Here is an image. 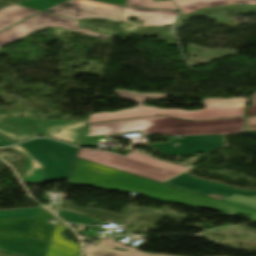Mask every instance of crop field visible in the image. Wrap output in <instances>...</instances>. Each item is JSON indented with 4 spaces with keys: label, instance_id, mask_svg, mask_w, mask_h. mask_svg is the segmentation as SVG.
I'll return each mask as SVG.
<instances>
[{
    "label": "crop field",
    "instance_id": "crop-field-5",
    "mask_svg": "<svg viewBox=\"0 0 256 256\" xmlns=\"http://www.w3.org/2000/svg\"><path fill=\"white\" fill-rule=\"evenodd\" d=\"M87 122L10 118L0 122V133L17 142L37 135H46L79 145ZM29 124L35 125L36 129L25 131V126Z\"/></svg>",
    "mask_w": 256,
    "mask_h": 256
},
{
    "label": "crop field",
    "instance_id": "crop-field-13",
    "mask_svg": "<svg viewBox=\"0 0 256 256\" xmlns=\"http://www.w3.org/2000/svg\"><path fill=\"white\" fill-rule=\"evenodd\" d=\"M183 14L191 13L198 9L217 7L229 4L256 5V0H174Z\"/></svg>",
    "mask_w": 256,
    "mask_h": 256
},
{
    "label": "crop field",
    "instance_id": "crop-field-1",
    "mask_svg": "<svg viewBox=\"0 0 256 256\" xmlns=\"http://www.w3.org/2000/svg\"><path fill=\"white\" fill-rule=\"evenodd\" d=\"M69 183L136 192L164 201H172L199 208L215 209L229 216L249 214L252 215L251 220L256 221V211L224 203L80 159H76L75 161Z\"/></svg>",
    "mask_w": 256,
    "mask_h": 256
},
{
    "label": "crop field",
    "instance_id": "crop-field-4",
    "mask_svg": "<svg viewBox=\"0 0 256 256\" xmlns=\"http://www.w3.org/2000/svg\"><path fill=\"white\" fill-rule=\"evenodd\" d=\"M78 157L160 182H166L190 170V168L156 160L137 152L123 157L112 152L80 149Z\"/></svg>",
    "mask_w": 256,
    "mask_h": 256
},
{
    "label": "crop field",
    "instance_id": "crop-field-19",
    "mask_svg": "<svg viewBox=\"0 0 256 256\" xmlns=\"http://www.w3.org/2000/svg\"><path fill=\"white\" fill-rule=\"evenodd\" d=\"M126 5L146 7V8H165V9L176 10V7L172 1H161V2L153 3V0H127Z\"/></svg>",
    "mask_w": 256,
    "mask_h": 256
},
{
    "label": "crop field",
    "instance_id": "crop-field-11",
    "mask_svg": "<svg viewBox=\"0 0 256 256\" xmlns=\"http://www.w3.org/2000/svg\"><path fill=\"white\" fill-rule=\"evenodd\" d=\"M115 238H102L97 245L84 247V256H167L151 255L132 248L123 247L121 243L113 242ZM112 247L127 248L129 252L112 250Z\"/></svg>",
    "mask_w": 256,
    "mask_h": 256
},
{
    "label": "crop field",
    "instance_id": "crop-field-9",
    "mask_svg": "<svg viewBox=\"0 0 256 256\" xmlns=\"http://www.w3.org/2000/svg\"><path fill=\"white\" fill-rule=\"evenodd\" d=\"M27 236L28 234L0 236V250L23 256H45L49 243Z\"/></svg>",
    "mask_w": 256,
    "mask_h": 256
},
{
    "label": "crop field",
    "instance_id": "crop-field-25",
    "mask_svg": "<svg viewBox=\"0 0 256 256\" xmlns=\"http://www.w3.org/2000/svg\"><path fill=\"white\" fill-rule=\"evenodd\" d=\"M13 144L16 143L0 135V146H9Z\"/></svg>",
    "mask_w": 256,
    "mask_h": 256
},
{
    "label": "crop field",
    "instance_id": "crop-field-14",
    "mask_svg": "<svg viewBox=\"0 0 256 256\" xmlns=\"http://www.w3.org/2000/svg\"><path fill=\"white\" fill-rule=\"evenodd\" d=\"M38 12L40 11L19 5L4 7L0 9V31Z\"/></svg>",
    "mask_w": 256,
    "mask_h": 256
},
{
    "label": "crop field",
    "instance_id": "crop-field-28",
    "mask_svg": "<svg viewBox=\"0 0 256 256\" xmlns=\"http://www.w3.org/2000/svg\"><path fill=\"white\" fill-rule=\"evenodd\" d=\"M34 128H35V126L29 125V126H27V127L25 128V130H32V129H34Z\"/></svg>",
    "mask_w": 256,
    "mask_h": 256
},
{
    "label": "crop field",
    "instance_id": "crop-field-10",
    "mask_svg": "<svg viewBox=\"0 0 256 256\" xmlns=\"http://www.w3.org/2000/svg\"><path fill=\"white\" fill-rule=\"evenodd\" d=\"M177 14V11L130 8L126 6L121 20L130 23L127 18L134 16L139 17L138 20L144 21L143 26H161L173 24Z\"/></svg>",
    "mask_w": 256,
    "mask_h": 256
},
{
    "label": "crop field",
    "instance_id": "crop-field-27",
    "mask_svg": "<svg viewBox=\"0 0 256 256\" xmlns=\"http://www.w3.org/2000/svg\"><path fill=\"white\" fill-rule=\"evenodd\" d=\"M7 5H10V3L0 1V8L7 6Z\"/></svg>",
    "mask_w": 256,
    "mask_h": 256
},
{
    "label": "crop field",
    "instance_id": "crop-field-17",
    "mask_svg": "<svg viewBox=\"0 0 256 256\" xmlns=\"http://www.w3.org/2000/svg\"><path fill=\"white\" fill-rule=\"evenodd\" d=\"M15 150L27 157V164L24 169V180L26 183L42 182V166L29 154H27L19 145L13 146Z\"/></svg>",
    "mask_w": 256,
    "mask_h": 256
},
{
    "label": "crop field",
    "instance_id": "crop-field-24",
    "mask_svg": "<svg viewBox=\"0 0 256 256\" xmlns=\"http://www.w3.org/2000/svg\"><path fill=\"white\" fill-rule=\"evenodd\" d=\"M256 115V94L252 97V106L247 109V116Z\"/></svg>",
    "mask_w": 256,
    "mask_h": 256
},
{
    "label": "crop field",
    "instance_id": "crop-field-16",
    "mask_svg": "<svg viewBox=\"0 0 256 256\" xmlns=\"http://www.w3.org/2000/svg\"><path fill=\"white\" fill-rule=\"evenodd\" d=\"M35 219L0 220V235L29 233Z\"/></svg>",
    "mask_w": 256,
    "mask_h": 256
},
{
    "label": "crop field",
    "instance_id": "crop-field-23",
    "mask_svg": "<svg viewBox=\"0 0 256 256\" xmlns=\"http://www.w3.org/2000/svg\"><path fill=\"white\" fill-rule=\"evenodd\" d=\"M256 131V117L246 119V132Z\"/></svg>",
    "mask_w": 256,
    "mask_h": 256
},
{
    "label": "crop field",
    "instance_id": "crop-field-6",
    "mask_svg": "<svg viewBox=\"0 0 256 256\" xmlns=\"http://www.w3.org/2000/svg\"><path fill=\"white\" fill-rule=\"evenodd\" d=\"M124 7L92 0H69L49 8L45 12L77 20L83 18H101L119 22Z\"/></svg>",
    "mask_w": 256,
    "mask_h": 256
},
{
    "label": "crop field",
    "instance_id": "crop-field-20",
    "mask_svg": "<svg viewBox=\"0 0 256 256\" xmlns=\"http://www.w3.org/2000/svg\"><path fill=\"white\" fill-rule=\"evenodd\" d=\"M63 0H27L19 5L44 10L52 5H55ZM103 1H109V2H115V3H121L125 4L126 0H103Z\"/></svg>",
    "mask_w": 256,
    "mask_h": 256
},
{
    "label": "crop field",
    "instance_id": "crop-field-2",
    "mask_svg": "<svg viewBox=\"0 0 256 256\" xmlns=\"http://www.w3.org/2000/svg\"><path fill=\"white\" fill-rule=\"evenodd\" d=\"M243 118L210 122H191L167 116L139 118L88 125L85 137L142 131L164 135L227 134L242 131Z\"/></svg>",
    "mask_w": 256,
    "mask_h": 256
},
{
    "label": "crop field",
    "instance_id": "crop-field-15",
    "mask_svg": "<svg viewBox=\"0 0 256 256\" xmlns=\"http://www.w3.org/2000/svg\"><path fill=\"white\" fill-rule=\"evenodd\" d=\"M188 46L191 66L198 65V62L209 63L211 59H220L227 55H236V50L208 49L193 44H188ZM193 55H198L200 59L193 58ZM192 61H195V63H192Z\"/></svg>",
    "mask_w": 256,
    "mask_h": 256
},
{
    "label": "crop field",
    "instance_id": "crop-field-8",
    "mask_svg": "<svg viewBox=\"0 0 256 256\" xmlns=\"http://www.w3.org/2000/svg\"><path fill=\"white\" fill-rule=\"evenodd\" d=\"M175 142H183V144L180 147H174L172 145ZM222 143L221 136H197L185 137L183 140H174L167 144H152L149 146L158 149L167 156H178L190 155L194 152L208 153L223 147L224 144Z\"/></svg>",
    "mask_w": 256,
    "mask_h": 256
},
{
    "label": "crop field",
    "instance_id": "crop-field-21",
    "mask_svg": "<svg viewBox=\"0 0 256 256\" xmlns=\"http://www.w3.org/2000/svg\"><path fill=\"white\" fill-rule=\"evenodd\" d=\"M40 210L41 208L15 211H0V219L37 217Z\"/></svg>",
    "mask_w": 256,
    "mask_h": 256
},
{
    "label": "crop field",
    "instance_id": "crop-field-7",
    "mask_svg": "<svg viewBox=\"0 0 256 256\" xmlns=\"http://www.w3.org/2000/svg\"><path fill=\"white\" fill-rule=\"evenodd\" d=\"M79 21L41 12L3 32L0 33V48L44 27L55 26L62 27L78 32L86 33L97 37H108L76 28Z\"/></svg>",
    "mask_w": 256,
    "mask_h": 256
},
{
    "label": "crop field",
    "instance_id": "crop-field-18",
    "mask_svg": "<svg viewBox=\"0 0 256 256\" xmlns=\"http://www.w3.org/2000/svg\"><path fill=\"white\" fill-rule=\"evenodd\" d=\"M54 218L55 217L46 210H43L30 238L41 239L49 242L54 225L47 222L48 220H53Z\"/></svg>",
    "mask_w": 256,
    "mask_h": 256
},
{
    "label": "crop field",
    "instance_id": "crop-field-26",
    "mask_svg": "<svg viewBox=\"0 0 256 256\" xmlns=\"http://www.w3.org/2000/svg\"><path fill=\"white\" fill-rule=\"evenodd\" d=\"M59 206H49L48 209H50L52 212H54L56 214L57 212V209H58Z\"/></svg>",
    "mask_w": 256,
    "mask_h": 256
},
{
    "label": "crop field",
    "instance_id": "crop-field-22",
    "mask_svg": "<svg viewBox=\"0 0 256 256\" xmlns=\"http://www.w3.org/2000/svg\"><path fill=\"white\" fill-rule=\"evenodd\" d=\"M59 217H61L66 222H72V223H80V224H92V220L88 218H82L77 213H73L66 210H60Z\"/></svg>",
    "mask_w": 256,
    "mask_h": 256
},
{
    "label": "crop field",
    "instance_id": "crop-field-3",
    "mask_svg": "<svg viewBox=\"0 0 256 256\" xmlns=\"http://www.w3.org/2000/svg\"><path fill=\"white\" fill-rule=\"evenodd\" d=\"M122 99L137 102L134 109L120 110L115 113H98L91 115L89 122L111 121L148 115L169 114L178 118L193 120H214L222 118L241 117L244 115V103L247 99H208L203 101L205 108L197 111H185L177 109H158L144 106L145 99H165L167 94H139L138 92H127L116 90Z\"/></svg>",
    "mask_w": 256,
    "mask_h": 256
},
{
    "label": "crop field",
    "instance_id": "crop-field-12",
    "mask_svg": "<svg viewBox=\"0 0 256 256\" xmlns=\"http://www.w3.org/2000/svg\"><path fill=\"white\" fill-rule=\"evenodd\" d=\"M65 229L66 226L60 224V221L57 220L46 256H79L80 248L78 244L64 239L60 234Z\"/></svg>",
    "mask_w": 256,
    "mask_h": 256
}]
</instances>
